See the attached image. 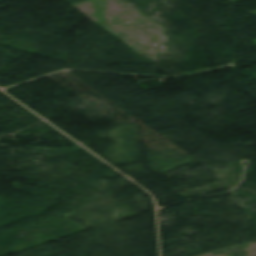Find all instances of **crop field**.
<instances>
[{
    "instance_id": "crop-field-1",
    "label": "crop field",
    "mask_w": 256,
    "mask_h": 256,
    "mask_svg": "<svg viewBox=\"0 0 256 256\" xmlns=\"http://www.w3.org/2000/svg\"><path fill=\"white\" fill-rule=\"evenodd\" d=\"M252 43L256 44V40H255V41H252Z\"/></svg>"
}]
</instances>
